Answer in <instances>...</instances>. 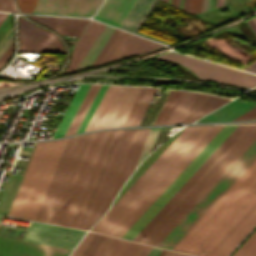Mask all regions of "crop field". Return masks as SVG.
Masks as SVG:
<instances>
[{"label":"crop field","mask_w":256,"mask_h":256,"mask_svg":"<svg viewBox=\"0 0 256 256\" xmlns=\"http://www.w3.org/2000/svg\"><path fill=\"white\" fill-rule=\"evenodd\" d=\"M202 0H191L190 13H200ZM206 0H203L201 12L205 9Z\"/></svg>","instance_id":"obj_36"},{"label":"crop field","mask_w":256,"mask_h":256,"mask_svg":"<svg viewBox=\"0 0 256 256\" xmlns=\"http://www.w3.org/2000/svg\"><path fill=\"white\" fill-rule=\"evenodd\" d=\"M254 123H256V122H254Z\"/></svg>","instance_id":"obj_56"},{"label":"crop field","mask_w":256,"mask_h":256,"mask_svg":"<svg viewBox=\"0 0 256 256\" xmlns=\"http://www.w3.org/2000/svg\"><path fill=\"white\" fill-rule=\"evenodd\" d=\"M117 32L118 30L115 29V31L113 32V34L111 35V37L109 38L105 46L102 48V50L100 51V53L98 54V56L96 57V59L94 60L91 66L96 65V63L98 62V60L100 59V57L102 56V54L104 53V51L106 50V48L108 47V45L110 44V42L112 41V39L114 38Z\"/></svg>","instance_id":"obj_39"},{"label":"crop field","mask_w":256,"mask_h":256,"mask_svg":"<svg viewBox=\"0 0 256 256\" xmlns=\"http://www.w3.org/2000/svg\"><path fill=\"white\" fill-rule=\"evenodd\" d=\"M88 234V233H87ZM86 237V236H85ZM85 237L83 238V240L85 239ZM83 240L79 243V245L76 247V249L73 251V253L70 256H74V254L76 253L77 249L79 248V246L81 245V243L83 242Z\"/></svg>","instance_id":"obj_48"},{"label":"crop field","mask_w":256,"mask_h":256,"mask_svg":"<svg viewBox=\"0 0 256 256\" xmlns=\"http://www.w3.org/2000/svg\"><path fill=\"white\" fill-rule=\"evenodd\" d=\"M179 5H180V0H178V4H177V7L179 8Z\"/></svg>","instance_id":"obj_53"},{"label":"crop field","mask_w":256,"mask_h":256,"mask_svg":"<svg viewBox=\"0 0 256 256\" xmlns=\"http://www.w3.org/2000/svg\"><path fill=\"white\" fill-rule=\"evenodd\" d=\"M104 238V235L94 233L91 240L89 241V243L87 244V246L85 247L84 251L80 256H93ZM116 241V238L106 236V238L104 239L103 243L101 244V246L99 247L94 256H107ZM128 244V241L118 239V241L116 242L115 246L113 247L108 256H121ZM141 246L142 244L140 243L130 242L122 256H135ZM150 249L151 246L143 244V246L141 247L140 251L136 256H146Z\"/></svg>","instance_id":"obj_11"},{"label":"crop field","mask_w":256,"mask_h":256,"mask_svg":"<svg viewBox=\"0 0 256 256\" xmlns=\"http://www.w3.org/2000/svg\"><path fill=\"white\" fill-rule=\"evenodd\" d=\"M255 159L256 140L158 246L172 249Z\"/></svg>","instance_id":"obj_5"},{"label":"crop field","mask_w":256,"mask_h":256,"mask_svg":"<svg viewBox=\"0 0 256 256\" xmlns=\"http://www.w3.org/2000/svg\"><path fill=\"white\" fill-rule=\"evenodd\" d=\"M244 70L256 73V61L246 67Z\"/></svg>","instance_id":"obj_46"},{"label":"crop field","mask_w":256,"mask_h":256,"mask_svg":"<svg viewBox=\"0 0 256 256\" xmlns=\"http://www.w3.org/2000/svg\"><path fill=\"white\" fill-rule=\"evenodd\" d=\"M129 36V33H126L124 31L119 30L117 35L115 36L114 40L102 56L101 60L97 65L112 61L120 47L123 45L127 37Z\"/></svg>","instance_id":"obj_30"},{"label":"crop field","mask_w":256,"mask_h":256,"mask_svg":"<svg viewBox=\"0 0 256 256\" xmlns=\"http://www.w3.org/2000/svg\"><path fill=\"white\" fill-rule=\"evenodd\" d=\"M123 130H117L76 228L82 229Z\"/></svg>","instance_id":"obj_21"},{"label":"crop field","mask_w":256,"mask_h":256,"mask_svg":"<svg viewBox=\"0 0 256 256\" xmlns=\"http://www.w3.org/2000/svg\"><path fill=\"white\" fill-rule=\"evenodd\" d=\"M100 85L91 84L87 94L85 95L82 103L80 104L67 132L65 135L73 134L75 133L78 125L80 124L82 118L84 117L87 109L89 108L94 96L96 95ZM80 126V125H79Z\"/></svg>","instance_id":"obj_29"},{"label":"crop field","mask_w":256,"mask_h":256,"mask_svg":"<svg viewBox=\"0 0 256 256\" xmlns=\"http://www.w3.org/2000/svg\"><path fill=\"white\" fill-rule=\"evenodd\" d=\"M256 90V88H254Z\"/></svg>","instance_id":"obj_55"},{"label":"crop field","mask_w":256,"mask_h":256,"mask_svg":"<svg viewBox=\"0 0 256 256\" xmlns=\"http://www.w3.org/2000/svg\"><path fill=\"white\" fill-rule=\"evenodd\" d=\"M115 131H116V130L109 131L108 134H107V137H106V139H105V141H104V144H103L102 149H101V151H100V153H99V156H98V158H97V161H96V163H95V165H94V168H93V170H92V173H91V175H90V177H89V180H88V182H87V185H86V187H85V189H84V192H83V194H82V197H81V199H80V201H79V204H78V206H77V209H76V211H75V213H74V216H73V218H72V221H71V223H70V225H69L70 227H74V228H75L76 225H77V222H78V220H79V218H80V215H81V213H82V210H83V208H84V206H85V203H86V201H87V198H88V196H89V193H90V191H91V189H92V186H93L94 181H95V179H96V177H97V174H98L99 169H100V167H101V165H102V162H103V160H104V157H105L106 152H107V150H108V148H109V145H110V143H111V140H112V138H113V136H114Z\"/></svg>","instance_id":"obj_18"},{"label":"crop field","mask_w":256,"mask_h":256,"mask_svg":"<svg viewBox=\"0 0 256 256\" xmlns=\"http://www.w3.org/2000/svg\"><path fill=\"white\" fill-rule=\"evenodd\" d=\"M92 134L37 142L8 215L56 224Z\"/></svg>","instance_id":"obj_1"},{"label":"crop field","mask_w":256,"mask_h":256,"mask_svg":"<svg viewBox=\"0 0 256 256\" xmlns=\"http://www.w3.org/2000/svg\"><path fill=\"white\" fill-rule=\"evenodd\" d=\"M90 84H82L79 85L72 101L70 102L61 122L58 124L57 126V130L54 133V135L52 136V138L54 137H58V136H64L79 104L81 103L85 93L87 92L88 88H89Z\"/></svg>","instance_id":"obj_25"},{"label":"crop field","mask_w":256,"mask_h":256,"mask_svg":"<svg viewBox=\"0 0 256 256\" xmlns=\"http://www.w3.org/2000/svg\"><path fill=\"white\" fill-rule=\"evenodd\" d=\"M208 127L187 126L91 231L109 235Z\"/></svg>","instance_id":"obj_3"},{"label":"crop field","mask_w":256,"mask_h":256,"mask_svg":"<svg viewBox=\"0 0 256 256\" xmlns=\"http://www.w3.org/2000/svg\"><path fill=\"white\" fill-rule=\"evenodd\" d=\"M7 14L5 13H0V24L3 21V19L6 17Z\"/></svg>","instance_id":"obj_49"},{"label":"crop field","mask_w":256,"mask_h":256,"mask_svg":"<svg viewBox=\"0 0 256 256\" xmlns=\"http://www.w3.org/2000/svg\"><path fill=\"white\" fill-rule=\"evenodd\" d=\"M197 93L182 91L166 124L183 123Z\"/></svg>","instance_id":"obj_27"},{"label":"crop field","mask_w":256,"mask_h":256,"mask_svg":"<svg viewBox=\"0 0 256 256\" xmlns=\"http://www.w3.org/2000/svg\"><path fill=\"white\" fill-rule=\"evenodd\" d=\"M236 182L256 190V160ZM236 182L178 243L175 250L199 256H227L256 225V191Z\"/></svg>","instance_id":"obj_2"},{"label":"crop field","mask_w":256,"mask_h":256,"mask_svg":"<svg viewBox=\"0 0 256 256\" xmlns=\"http://www.w3.org/2000/svg\"><path fill=\"white\" fill-rule=\"evenodd\" d=\"M159 256H191V255H186V254H182V253L162 249Z\"/></svg>","instance_id":"obj_41"},{"label":"crop field","mask_w":256,"mask_h":256,"mask_svg":"<svg viewBox=\"0 0 256 256\" xmlns=\"http://www.w3.org/2000/svg\"><path fill=\"white\" fill-rule=\"evenodd\" d=\"M137 0H106L95 19L119 27Z\"/></svg>","instance_id":"obj_15"},{"label":"crop field","mask_w":256,"mask_h":256,"mask_svg":"<svg viewBox=\"0 0 256 256\" xmlns=\"http://www.w3.org/2000/svg\"><path fill=\"white\" fill-rule=\"evenodd\" d=\"M113 31H114V28L105 25V27L103 28L98 38L96 39V41L94 42V44L92 45V47L90 48L86 56L84 57L83 61L81 62L77 70L89 68L90 64L92 63L94 58L97 56V54L99 53V51L101 50V48L103 47V45L105 44L107 39L110 37Z\"/></svg>","instance_id":"obj_28"},{"label":"crop field","mask_w":256,"mask_h":256,"mask_svg":"<svg viewBox=\"0 0 256 256\" xmlns=\"http://www.w3.org/2000/svg\"><path fill=\"white\" fill-rule=\"evenodd\" d=\"M102 0H38L33 13L91 16Z\"/></svg>","instance_id":"obj_12"},{"label":"crop field","mask_w":256,"mask_h":256,"mask_svg":"<svg viewBox=\"0 0 256 256\" xmlns=\"http://www.w3.org/2000/svg\"><path fill=\"white\" fill-rule=\"evenodd\" d=\"M231 99L198 93L184 123L193 122L195 119L224 105Z\"/></svg>","instance_id":"obj_19"},{"label":"crop field","mask_w":256,"mask_h":256,"mask_svg":"<svg viewBox=\"0 0 256 256\" xmlns=\"http://www.w3.org/2000/svg\"><path fill=\"white\" fill-rule=\"evenodd\" d=\"M0 11L13 12V0H0Z\"/></svg>","instance_id":"obj_38"},{"label":"crop field","mask_w":256,"mask_h":256,"mask_svg":"<svg viewBox=\"0 0 256 256\" xmlns=\"http://www.w3.org/2000/svg\"><path fill=\"white\" fill-rule=\"evenodd\" d=\"M120 86L109 85L96 112L94 113L92 119L87 125L85 131L93 130L99 128L102 120L104 119L107 111L109 110Z\"/></svg>","instance_id":"obj_26"},{"label":"crop field","mask_w":256,"mask_h":256,"mask_svg":"<svg viewBox=\"0 0 256 256\" xmlns=\"http://www.w3.org/2000/svg\"><path fill=\"white\" fill-rule=\"evenodd\" d=\"M85 233L32 222L24 240L73 249Z\"/></svg>","instance_id":"obj_10"},{"label":"crop field","mask_w":256,"mask_h":256,"mask_svg":"<svg viewBox=\"0 0 256 256\" xmlns=\"http://www.w3.org/2000/svg\"><path fill=\"white\" fill-rule=\"evenodd\" d=\"M13 38V33L11 36L6 40V42L3 44V46L0 48V55L3 53V51L7 48V46L10 44L11 40Z\"/></svg>","instance_id":"obj_44"},{"label":"crop field","mask_w":256,"mask_h":256,"mask_svg":"<svg viewBox=\"0 0 256 256\" xmlns=\"http://www.w3.org/2000/svg\"><path fill=\"white\" fill-rule=\"evenodd\" d=\"M156 88L142 87L122 126L138 125L146 107L148 106Z\"/></svg>","instance_id":"obj_23"},{"label":"crop field","mask_w":256,"mask_h":256,"mask_svg":"<svg viewBox=\"0 0 256 256\" xmlns=\"http://www.w3.org/2000/svg\"><path fill=\"white\" fill-rule=\"evenodd\" d=\"M19 52H64L60 40L52 33L19 18Z\"/></svg>","instance_id":"obj_9"},{"label":"crop field","mask_w":256,"mask_h":256,"mask_svg":"<svg viewBox=\"0 0 256 256\" xmlns=\"http://www.w3.org/2000/svg\"><path fill=\"white\" fill-rule=\"evenodd\" d=\"M233 256H256V231Z\"/></svg>","instance_id":"obj_33"},{"label":"crop field","mask_w":256,"mask_h":256,"mask_svg":"<svg viewBox=\"0 0 256 256\" xmlns=\"http://www.w3.org/2000/svg\"><path fill=\"white\" fill-rule=\"evenodd\" d=\"M235 127L236 126H223L207 143V145L195 156V158L184 168V170L173 180V182L161 193V195L150 205V207L127 230L122 238L132 240Z\"/></svg>","instance_id":"obj_6"},{"label":"crop field","mask_w":256,"mask_h":256,"mask_svg":"<svg viewBox=\"0 0 256 256\" xmlns=\"http://www.w3.org/2000/svg\"><path fill=\"white\" fill-rule=\"evenodd\" d=\"M180 91L171 90L167 100L165 101L160 113L158 114L154 124H164Z\"/></svg>","instance_id":"obj_31"},{"label":"crop field","mask_w":256,"mask_h":256,"mask_svg":"<svg viewBox=\"0 0 256 256\" xmlns=\"http://www.w3.org/2000/svg\"><path fill=\"white\" fill-rule=\"evenodd\" d=\"M140 87L122 86L100 128L121 126Z\"/></svg>","instance_id":"obj_14"},{"label":"crop field","mask_w":256,"mask_h":256,"mask_svg":"<svg viewBox=\"0 0 256 256\" xmlns=\"http://www.w3.org/2000/svg\"><path fill=\"white\" fill-rule=\"evenodd\" d=\"M14 50L13 42L8 46L4 53L0 56V68L7 62Z\"/></svg>","instance_id":"obj_37"},{"label":"crop field","mask_w":256,"mask_h":256,"mask_svg":"<svg viewBox=\"0 0 256 256\" xmlns=\"http://www.w3.org/2000/svg\"><path fill=\"white\" fill-rule=\"evenodd\" d=\"M189 4H190V0H184V6H183V10L187 11L189 10Z\"/></svg>","instance_id":"obj_47"},{"label":"crop field","mask_w":256,"mask_h":256,"mask_svg":"<svg viewBox=\"0 0 256 256\" xmlns=\"http://www.w3.org/2000/svg\"><path fill=\"white\" fill-rule=\"evenodd\" d=\"M171 4L174 5V6H176L177 0H172V1H171Z\"/></svg>","instance_id":"obj_52"},{"label":"crop field","mask_w":256,"mask_h":256,"mask_svg":"<svg viewBox=\"0 0 256 256\" xmlns=\"http://www.w3.org/2000/svg\"><path fill=\"white\" fill-rule=\"evenodd\" d=\"M163 1L167 2V0H163Z\"/></svg>","instance_id":"obj_54"},{"label":"crop field","mask_w":256,"mask_h":256,"mask_svg":"<svg viewBox=\"0 0 256 256\" xmlns=\"http://www.w3.org/2000/svg\"><path fill=\"white\" fill-rule=\"evenodd\" d=\"M256 103L233 100L228 104L220 107L219 109L213 111L212 113L204 116L203 118L197 120L196 122H221L230 121L231 119L243 114L244 112L254 108Z\"/></svg>","instance_id":"obj_17"},{"label":"crop field","mask_w":256,"mask_h":256,"mask_svg":"<svg viewBox=\"0 0 256 256\" xmlns=\"http://www.w3.org/2000/svg\"><path fill=\"white\" fill-rule=\"evenodd\" d=\"M245 128V126H237L232 131V133L220 144V146L209 156V158L138 233V235L133 239L134 241L140 242L143 237L150 232V230L163 218V216L176 204V202L189 190V188L202 176V174L215 162V160L228 148V146L241 134Z\"/></svg>","instance_id":"obj_8"},{"label":"crop field","mask_w":256,"mask_h":256,"mask_svg":"<svg viewBox=\"0 0 256 256\" xmlns=\"http://www.w3.org/2000/svg\"><path fill=\"white\" fill-rule=\"evenodd\" d=\"M157 58L177 62L191 69L200 79L251 88L256 86V75L220 66L178 53H168Z\"/></svg>","instance_id":"obj_7"},{"label":"crop field","mask_w":256,"mask_h":256,"mask_svg":"<svg viewBox=\"0 0 256 256\" xmlns=\"http://www.w3.org/2000/svg\"><path fill=\"white\" fill-rule=\"evenodd\" d=\"M223 2H224V0H217V4H216V7H217V6H220V5H222V4H223Z\"/></svg>","instance_id":"obj_50"},{"label":"crop field","mask_w":256,"mask_h":256,"mask_svg":"<svg viewBox=\"0 0 256 256\" xmlns=\"http://www.w3.org/2000/svg\"><path fill=\"white\" fill-rule=\"evenodd\" d=\"M158 129L159 128H152L151 129L150 134L148 136V139L146 141V144H145L144 149H143V151L141 153V156L139 158L138 163L148 154ZM138 163H137V165H138Z\"/></svg>","instance_id":"obj_34"},{"label":"crop field","mask_w":256,"mask_h":256,"mask_svg":"<svg viewBox=\"0 0 256 256\" xmlns=\"http://www.w3.org/2000/svg\"><path fill=\"white\" fill-rule=\"evenodd\" d=\"M104 27V24L94 20L90 23L83 36L72 51V60L64 73L75 71L83 57L97 38L98 34Z\"/></svg>","instance_id":"obj_16"},{"label":"crop field","mask_w":256,"mask_h":256,"mask_svg":"<svg viewBox=\"0 0 256 256\" xmlns=\"http://www.w3.org/2000/svg\"><path fill=\"white\" fill-rule=\"evenodd\" d=\"M150 129L123 131L83 229L88 230L103 214L119 188L134 170Z\"/></svg>","instance_id":"obj_4"},{"label":"crop field","mask_w":256,"mask_h":256,"mask_svg":"<svg viewBox=\"0 0 256 256\" xmlns=\"http://www.w3.org/2000/svg\"><path fill=\"white\" fill-rule=\"evenodd\" d=\"M248 25L251 27V29L255 32L256 34V17L246 21Z\"/></svg>","instance_id":"obj_43"},{"label":"crop field","mask_w":256,"mask_h":256,"mask_svg":"<svg viewBox=\"0 0 256 256\" xmlns=\"http://www.w3.org/2000/svg\"><path fill=\"white\" fill-rule=\"evenodd\" d=\"M60 34L79 36L89 20L30 16Z\"/></svg>","instance_id":"obj_20"},{"label":"crop field","mask_w":256,"mask_h":256,"mask_svg":"<svg viewBox=\"0 0 256 256\" xmlns=\"http://www.w3.org/2000/svg\"><path fill=\"white\" fill-rule=\"evenodd\" d=\"M256 118V108L244 113L235 120Z\"/></svg>","instance_id":"obj_40"},{"label":"crop field","mask_w":256,"mask_h":256,"mask_svg":"<svg viewBox=\"0 0 256 256\" xmlns=\"http://www.w3.org/2000/svg\"><path fill=\"white\" fill-rule=\"evenodd\" d=\"M106 87H107V85H101L96 97L94 98L90 108L88 109V111H87L85 117L83 118L80 126L78 127L76 133L84 131V129H85L86 125L88 124L89 120L91 119V117H92V115H93V113H94V111H95V109H96V107H97V105H98Z\"/></svg>","instance_id":"obj_32"},{"label":"crop field","mask_w":256,"mask_h":256,"mask_svg":"<svg viewBox=\"0 0 256 256\" xmlns=\"http://www.w3.org/2000/svg\"><path fill=\"white\" fill-rule=\"evenodd\" d=\"M156 2L157 0H138L120 25V28L136 33Z\"/></svg>","instance_id":"obj_22"},{"label":"crop field","mask_w":256,"mask_h":256,"mask_svg":"<svg viewBox=\"0 0 256 256\" xmlns=\"http://www.w3.org/2000/svg\"><path fill=\"white\" fill-rule=\"evenodd\" d=\"M37 0H17V5L22 12L32 13Z\"/></svg>","instance_id":"obj_35"},{"label":"crop field","mask_w":256,"mask_h":256,"mask_svg":"<svg viewBox=\"0 0 256 256\" xmlns=\"http://www.w3.org/2000/svg\"><path fill=\"white\" fill-rule=\"evenodd\" d=\"M93 235L92 232H89V234L87 235L86 239L84 240V242L82 243V245L80 246L79 250L77 251V253L75 254V256H79L82 252V250L84 249V247L86 246V244L88 243V241L90 240L91 236Z\"/></svg>","instance_id":"obj_42"},{"label":"crop field","mask_w":256,"mask_h":256,"mask_svg":"<svg viewBox=\"0 0 256 256\" xmlns=\"http://www.w3.org/2000/svg\"><path fill=\"white\" fill-rule=\"evenodd\" d=\"M160 46L163 45L130 34L113 60L149 51Z\"/></svg>","instance_id":"obj_24"},{"label":"crop field","mask_w":256,"mask_h":256,"mask_svg":"<svg viewBox=\"0 0 256 256\" xmlns=\"http://www.w3.org/2000/svg\"><path fill=\"white\" fill-rule=\"evenodd\" d=\"M209 6H210V0H207L205 11L209 9Z\"/></svg>","instance_id":"obj_51"},{"label":"crop field","mask_w":256,"mask_h":256,"mask_svg":"<svg viewBox=\"0 0 256 256\" xmlns=\"http://www.w3.org/2000/svg\"><path fill=\"white\" fill-rule=\"evenodd\" d=\"M70 249L0 237V256H67Z\"/></svg>","instance_id":"obj_13"},{"label":"crop field","mask_w":256,"mask_h":256,"mask_svg":"<svg viewBox=\"0 0 256 256\" xmlns=\"http://www.w3.org/2000/svg\"><path fill=\"white\" fill-rule=\"evenodd\" d=\"M161 251L160 248L152 247L149 254L147 256H158L159 252Z\"/></svg>","instance_id":"obj_45"}]
</instances>
